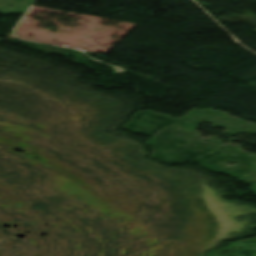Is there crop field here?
<instances>
[{"mask_svg":"<svg viewBox=\"0 0 256 256\" xmlns=\"http://www.w3.org/2000/svg\"><path fill=\"white\" fill-rule=\"evenodd\" d=\"M1 40V39H0Z\"/></svg>","mask_w":256,"mask_h":256,"instance_id":"1","label":"crop field"}]
</instances>
